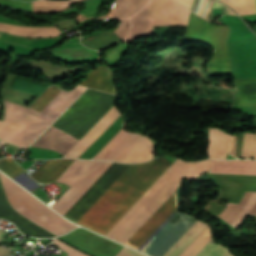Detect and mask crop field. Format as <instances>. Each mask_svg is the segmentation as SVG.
Returning <instances> with one entry per match:
<instances>
[{"mask_svg":"<svg viewBox=\"0 0 256 256\" xmlns=\"http://www.w3.org/2000/svg\"><path fill=\"white\" fill-rule=\"evenodd\" d=\"M128 165L129 164L113 163L89 188V190L72 206L65 216L77 221Z\"/></svg>","mask_w":256,"mask_h":256,"instance_id":"11","label":"crop field"},{"mask_svg":"<svg viewBox=\"0 0 256 256\" xmlns=\"http://www.w3.org/2000/svg\"><path fill=\"white\" fill-rule=\"evenodd\" d=\"M256 218V217H255Z\"/></svg>","mask_w":256,"mask_h":256,"instance_id":"40","label":"crop field"},{"mask_svg":"<svg viewBox=\"0 0 256 256\" xmlns=\"http://www.w3.org/2000/svg\"><path fill=\"white\" fill-rule=\"evenodd\" d=\"M206 227V224L197 221L166 256H180V254L199 236V234Z\"/></svg>","mask_w":256,"mask_h":256,"instance_id":"22","label":"crop field"},{"mask_svg":"<svg viewBox=\"0 0 256 256\" xmlns=\"http://www.w3.org/2000/svg\"><path fill=\"white\" fill-rule=\"evenodd\" d=\"M170 164L161 157L130 164L76 223L105 235Z\"/></svg>","mask_w":256,"mask_h":256,"instance_id":"1","label":"crop field"},{"mask_svg":"<svg viewBox=\"0 0 256 256\" xmlns=\"http://www.w3.org/2000/svg\"><path fill=\"white\" fill-rule=\"evenodd\" d=\"M118 96L88 89L53 124L81 138L113 106ZM51 127L33 146L65 154L79 139Z\"/></svg>","mask_w":256,"mask_h":256,"instance_id":"4","label":"crop field"},{"mask_svg":"<svg viewBox=\"0 0 256 256\" xmlns=\"http://www.w3.org/2000/svg\"><path fill=\"white\" fill-rule=\"evenodd\" d=\"M197 256H232L223 246L210 242Z\"/></svg>","mask_w":256,"mask_h":256,"instance_id":"30","label":"crop field"},{"mask_svg":"<svg viewBox=\"0 0 256 256\" xmlns=\"http://www.w3.org/2000/svg\"><path fill=\"white\" fill-rule=\"evenodd\" d=\"M229 35L227 26L210 24L191 13L185 41H201L209 44L214 53L228 52L226 41Z\"/></svg>","mask_w":256,"mask_h":256,"instance_id":"10","label":"crop field"},{"mask_svg":"<svg viewBox=\"0 0 256 256\" xmlns=\"http://www.w3.org/2000/svg\"><path fill=\"white\" fill-rule=\"evenodd\" d=\"M75 160H54L47 161L38 171L30 174L35 180L44 183L56 180Z\"/></svg>","mask_w":256,"mask_h":256,"instance_id":"19","label":"crop field"},{"mask_svg":"<svg viewBox=\"0 0 256 256\" xmlns=\"http://www.w3.org/2000/svg\"><path fill=\"white\" fill-rule=\"evenodd\" d=\"M153 141L144 135L120 131L93 159H107L119 162H142L156 153Z\"/></svg>","mask_w":256,"mask_h":256,"instance_id":"9","label":"crop field"},{"mask_svg":"<svg viewBox=\"0 0 256 256\" xmlns=\"http://www.w3.org/2000/svg\"><path fill=\"white\" fill-rule=\"evenodd\" d=\"M235 144H236V138H235V136H232L230 154L233 155V156H234V153H235Z\"/></svg>","mask_w":256,"mask_h":256,"instance_id":"38","label":"crop field"},{"mask_svg":"<svg viewBox=\"0 0 256 256\" xmlns=\"http://www.w3.org/2000/svg\"><path fill=\"white\" fill-rule=\"evenodd\" d=\"M148 0H115L108 15L110 18L120 19V24L114 30L122 39L129 33L130 16L140 10Z\"/></svg>","mask_w":256,"mask_h":256,"instance_id":"13","label":"crop field"},{"mask_svg":"<svg viewBox=\"0 0 256 256\" xmlns=\"http://www.w3.org/2000/svg\"><path fill=\"white\" fill-rule=\"evenodd\" d=\"M217 7H222L223 14H234L226 6L211 0H194L191 11L196 13L202 18L212 21L213 17L211 15L210 9L217 8Z\"/></svg>","mask_w":256,"mask_h":256,"instance_id":"25","label":"crop field"},{"mask_svg":"<svg viewBox=\"0 0 256 256\" xmlns=\"http://www.w3.org/2000/svg\"><path fill=\"white\" fill-rule=\"evenodd\" d=\"M176 191L134 234L126 245L141 251L179 212ZM196 220L179 213L143 250L151 256H162Z\"/></svg>","mask_w":256,"mask_h":256,"instance_id":"5","label":"crop field"},{"mask_svg":"<svg viewBox=\"0 0 256 256\" xmlns=\"http://www.w3.org/2000/svg\"><path fill=\"white\" fill-rule=\"evenodd\" d=\"M0 178L10 204L22 215L42 226L54 235H62L75 225L57 216L35 197L0 173Z\"/></svg>","mask_w":256,"mask_h":256,"instance_id":"6","label":"crop field"},{"mask_svg":"<svg viewBox=\"0 0 256 256\" xmlns=\"http://www.w3.org/2000/svg\"><path fill=\"white\" fill-rule=\"evenodd\" d=\"M207 173L256 175V160L212 161Z\"/></svg>","mask_w":256,"mask_h":256,"instance_id":"16","label":"crop field"},{"mask_svg":"<svg viewBox=\"0 0 256 256\" xmlns=\"http://www.w3.org/2000/svg\"><path fill=\"white\" fill-rule=\"evenodd\" d=\"M189 10L173 0H150V3L131 17V32L124 41L154 33L153 26L186 25Z\"/></svg>","mask_w":256,"mask_h":256,"instance_id":"7","label":"crop field"},{"mask_svg":"<svg viewBox=\"0 0 256 256\" xmlns=\"http://www.w3.org/2000/svg\"><path fill=\"white\" fill-rule=\"evenodd\" d=\"M121 114L113 107L65 156L78 158Z\"/></svg>","mask_w":256,"mask_h":256,"instance_id":"14","label":"crop field"},{"mask_svg":"<svg viewBox=\"0 0 256 256\" xmlns=\"http://www.w3.org/2000/svg\"><path fill=\"white\" fill-rule=\"evenodd\" d=\"M12 179L31 192L36 190L37 188L41 187V185H39L37 182H35L33 179H31L27 175L26 172L12 178Z\"/></svg>","mask_w":256,"mask_h":256,"instance_id":"32","label":"crop field"},{"mask_svg":"<svg viewBox=\"0 0 256 256\" xmlns=\"http://www.w3.org/2000/svg\"><path fill=\"white\" fill-rule=\"evenodd\" d=\"M255 135L245 134L241 156L252 157Z\"/></svg>","mask_w":256,"mask_h":256,"instance_id":"33","label":"crop field"},{"mask_svg":"<svg viewBox=\"0 0 256 256\" xmlns=\"http://www.w3.org/2000/svg\"><path fill=\"white\" fill-rule=\"evenodd\" d=\"M0 31L27 37H55L60 31L56 27H20L0 23Z\"/></svg>","mask_w":256,"mask_h":256,"instance_id":"20","label":"crop field"},{"mask_svg":"<svg viewBox=\"0 0 256 256\" xmlns=\"http://www.w3.org/2000/svg\"><path fill=\"white\" fill-rule=\"evenodd\" d=\"M253 158H256V141H255V146H254V154H253Z\"/></svg>","mask_w":256,"mask_h":256,"instance_id":"39","label":"crop field"},{"mask_svg":"<svg viewBox=\"0 0 256 256\" xmlns=\"http://www.w3.org/2000/svg\"><path fill=\"white\" fill-rule=\"evenodd\" d=\"M238 105L256 106V81L236 80Z\"/></svg>","mask_w":256,"mask_h":256,"instance_id":"23","label":"crop field"},{"mask_svg":"<svg viewBox=\"0 0 256 256\" xmlns=\"http://www.w3.org/2000/svg\"><path fill=\"white\" fill-rule=\"evenodd\" d=\"M6 235V232L0 230V241L1 239ZM10 250L9 248H5V247H0V256H9L10 254Z\"/></svg>","mask_w":256,"mask_h":256,"instance_id":"36","label":"crop field"},{"mask_svg":"<svg viewBox=\"0 0 256 256\" xmlns=\"http://www.w3.org/2000/svg\"><path fill=\"white\" fill-rule=\"evenodd\" d=\"M211 235L207 227L200 236L181 254V256H195L202 247L210 240Z\"/></svg>","mask_w":256,"mask_h":256,"instance_id":"29","label":"crop field"},{"mask_svg":"<svg viewBox=\"0 0 256 256\" xmlns=\"http://www.w3.org/2000/svg\"><path fill=\"white\" fill-rule=\"evenodd\" d=\"M0 169L9 175L11 178L18 175L19 173L23 172L13 160L11 159H4L0 161Z\"/></svg>","mask_w":256,"mask_h":256,"instance_id":"31","label":"crop field"},{"mask_svg":"<svg viewBox=\"0 0 256 256\" xmlns=\"http://www.w3.org/2000/svg\"><path fill=\"white\" fill-rule=\"evenodd\" d=\"M52 243L57 245L59 248H61L63 251L69 253L68 256H87L84 253L70 247L69 245L55 239Z\"/></svg>","mask_w":256,"mask_h":256,"instance_id":"34","label":"crop field"},{"mask_svg":"<svg viewBox=\"0 0 256 256\" xmlns=\"http://www.w3.org/2000/svg\"><path fill=\"white\" fill-rule=\"evenodd\" d=\"M209 167V160L185 162L177 159L106 236L125 244L181 184L184 176L190 181L207 172Z\"/></svg>","mask_w":256,"mask_h":256,"instance_id":"3","label":"crop field"},{"mask_svg":"<svg viewBox=\"0 0 256 256\" xmlns=\"http://www.w3.org/2000/svg\"><path fill=\"white\" fill-rule=\"evenodd\" d=\"M80 85L114 94L118 93L113 81V73L105 66H98L94 70L89 71L86 79Z\"/></svg>","mask_w":256,"mask_h":256,"instance_id":"17","label":"crop field"},{"mask_svg":"<svg viewBox=\"0 0 256 256\" xmlns=\"http://www.w3.org/2000/svg\"><path fill=\"white\" fill-rule=\"evenodd\" d=\"M214 179L218 199L239 203L245 191H256V176L207 174Z\"/></svg>","mask_w":256,"mask_h":256,"instance_id":"12","label":"crop field"},{"mask_svg":"<svg viewBox=\"0 0 256 256\" xmlns=\"http://www.w3.org/2000/svg\"><path fill=\"white\" fill-rule=\"evenodd\" d=\"M116 256H144L124 247Z\"/></svg>","mask_w":256,"mask_h":256,"instance_id":"35","label":"crop field"},{"mask_svg":"<svg viewBox=\"0 0 256 256\" xmlns=\"http://www.w3.org/2000/svg\"><path fill=\"white\" fill-rule=\"evenodd\" d=\"M232 6L239 15L255 14V0H220Z\"/></svg>","mask_w":256,"mask_h":256,"instance_id":"28","label":"crop field"},{"mask_svg":"<svg viewBox=\"0 0 256 256\" xmlns=\"http://www.w3.org/2000/svg\"><path fill=\"white\" fill-rule=\"evenodd\" d=\"M176 1L181 3L186 8L190 9V6H191V3H192L193 0H176Z\"/></svg>","mask_w":256,"mask_h":256,"instance_id":"37","label":"crop field"},{"mask_svg":"<svg viewBox=\"0 0 256 256\" xmlns=\"http://www.w3.org/2000/svg\"><path fill=\"white\" fill-rule=\"evenodd\" d=\"M229 137V135L222 133L218 129H210L208 157L225 159L229 146Z\"/></svg>","mask_w":256,"mask_h":256,"instance_id":"21","label":"crop field"},{"mask_svg":"<svg viewBox=\"0 0 256 256\" xmlns=\"http://www.w3.org/2000/svg\"><path fill=\"white\" fill-rule=\"evenodd\" d=\"M121 39L118 37V35L111 30L96 34L94 36H91L87 39L82 40L81 42L91 48L99 50L101 48L107 47L109 45H112Z\"/></svg>","mask_w":256,"mask_h":256,"instance_id":"24","label":"crop field"},{"mask_svg":"<svg viewBox=\"0 0 256 256\" xmlns=\"http://www.w3.org/2000/svg\"><path fill=\"white\" fill-rule=\"evenodd\" d=\"M76 86L69 93L49 87L30 108L6 101L4 121H0V139L28 147L84 90Z\"/></svg>","mask_w":256,"mask_h":256,"instance_id":"2","label":"crop field"},{"mask_svg":"<svg viewBox=\"0 0 256 256\" xmlns=\"http://www.w3.org/2000/svg\"><path fill=\"white\" fill-rule=\"evenodd\" d=\"M80 0H39L32 2V11L52 12L65 9Z\"/></svg>","mask_w":256,"mask_h":256,"instance_id":"27","label":"crop field"},{"mask_svg":"<svg viewBox=\"0 0 256 256\" xmlns=\"http://www.w3.org/2000/svg\"><path fill=\"white\" fill-rule=\"evenodd\" d=\"M255 201L256 192H245L239 204L228 203V206L218 216L237 228L239 223L251 210ZM249 214L256 215V203Z\"/></svg>","mask_w":256,"mask_h":256,"instance_id":"15","label":"crop field"},{"mask_svg":"<svg viewBox=\"0 0 256 256\" xmlns=\"http://www.w3.org/2000/svg\"><path fill=\"white\" fill-rule=\"evenodd\" d=\"M207 70L209 76L230 74L228 53L213 54L207 63Z\"/></svg>","mask_w":256,"mask_h":256,"instance_id":"26","label":"crop field"},{"mask_svg":"<svg viewBox=\"0 0 256 256\" xmlns=\"http://www.w3.org/2000/svg\"><path fill=\"white\" fill-rule=\"evenodd\" d=\"M111 164L105 161L76 160L56 180L71 187L52 208L64 215Z\"/></svg>","mask_w":256,"mask_h":256,"instance_id":"8","label":"crop field"},{"mask_svg":"<svg viewBox=\"0 0 256 256\" xmlns=\"http://www.w3.org/2000/svg\"><path fill=\"white\" fill-rule=\"evenodd\" d=\"M0 218L13 222L24 234L35 237H52L35 225L16 215L6 203L0 187Z\"/></svg>","mask_w":256,"mask_h":256,"instance_id":"18","label":"crop field"}]
</instances>
